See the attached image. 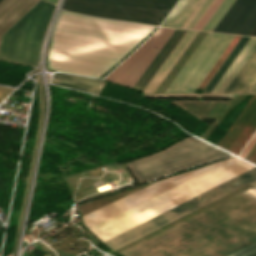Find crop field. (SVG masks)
I'll return each mask as SVG.
<instances>
[{
    "instance_id": "8a807250",
    "label": "crop field",
    "mask_w": 256,
    "mask_h": 256,
    "mask_svg": "<svg viewBox=\"0 0 256 256\" xmlns=\"http://www.w3.org/2000/svg\"><path fill=\"white\" fill-rule=\"evenodd\" d=\"M229 160V159H228ZM180 174L137 191L83 217L90 229L225 162ZM253 165L235 157L93 229L105 241L179 203H182L250 168ZM256 180V167L177 205L107 241L114 250Z\"/></svg>"
},
{
    "instance_id": "ac0d7876",
    "label": "crop field",
    "mask_w": 256,
    "mask_h": 256,
    "mask_svg": "<svg viewBox=\"0 0 256 256\" xmlns=\"http://www.w3.org/2000/svg\"><path fill=\"white\" fill-rule=\"evenodd\" d=\"M255 241L256 200L240 193L120 253L227 256Z\"/></svg>"
},
{
    "instance_id": "34b2d1b8",
    "label": "crop field",
    "mask_w": 256,
    "mask_h": 256,
    "mask_svg": "<svg viewBox=\"0 0 256 256\" xmlns=\"http://www.w3.org/2000/svg\"><path fill=\"white\" fill-rule=\"evenodd\" d=\"M152 29L59 10L42 67L99 78Z\"/></svg>"
},
{
    "instance_id": "412701ff",
    "label": "crop field",
    "mask_w": 256,
    "mask_h": 256,
    "mask_svg": "<svg viewBox=\"0 0 256 256\" xmlns=\"http://www.w3.org/2000/svg\"><path fill=\"white\" fill-rule=\"evenodd\" d=\"M227 155L230 154L190 136L127 164L141 183Z\"/></svg>"
},
{
    "instance_id": "f4fd0767",
    "label": "crop field",
    "mask_w": 256,
    "mask_h": 256,
    "mask_svg": "<svg viewBox=\"0 0 256 256\" xmlns=\"http://www.w3.org/2000/svg\"><path fill=\"white\" fill-rule=\"evenodd\" d=\"M54 5L40 0L1 38L0 59L36 67Z\"/></svg>"
},
{
    "instance_id": "dd49c442",
    "label": "crop field",
    "mask_w": 256,
    "mask_h": 256,
    "mask_svg": "<svg viewBox=\"0 0 256 256\" xmlns=\"http://www.w3.org/2000/svg\"><path fill=\"white\" fill-rule=\"evenodd\" d=\"M177 1L65 0L62 8L96 17L160 25Z\"/></svg>"
},
{
    "instance_id": "e52e79f7",
    "label": "crop field",
    "mask_w": 256,
    "mask_h": 256,
    "mask_svg": "<svg viewBox=\"0 0 256 256\" xmlns=\"http://www.w3.org/2000/svg\"><path fill=\"white\" fill-rule=\"evenodd\" d=\"M234 37L208 33L165 92L194 93Z\"/></svg>"
},
{
    "instance_id": "d8731c3e",
    "label": "crop field",
    "mask_w": 256,
    "mask_h": 256,
    "mask_svg": "<svg viewBox=\"0 0 256 256\" xmlns=\"http://www.w3.org/2000/svg\"><path fill=\"white\" fill-rule=\"evenodd\" d=\"M173 31L174 29L160 28L105 80L133 88Z\"/></svg>"
},
{
    "instance_id": "5a996713",
    "label": "crop field",
    "mask_w": 256,
    "mask_h": 256,
    "mask_svg": "<svg viewBox=\"0 0 256 256\" xmlns=\"http://www.w3.org/2000/svg\"><path fill=\"white\" fill-rule=\"evenodd\" d=\"M255 47H256V40L253 42V44L247 50L245 55L239 61L237 66L234 68V70L228 76V78L223 83V85L220 87V89L217 91V93H223V91L229 85V83L234 78V76L237 74L239 69L245 63L247 58L253 52ZM224 93L256 94V49L251 54V56L248 58L246 63L240 69V71L235 76V78L232 80V82L227 87V89L224 91Z\"/></svg>"
},
{
    "instance_id": "3316defc",
    "label": "crop field",
    "mask_w": 256,
    "mask_h": 256,
    "mask_svg": "<svg viewBox=\"0 0 256 256\" xmlns=\"http://www.w3.org/2000/svg\"><path fill=\"white\" fill-rule=\"evenodd\" d=\"M39 0H2L0 2V38Z\"/></svg>"
},
{
    "instance_id": "28ad6ade",
    "label": "crop field",
    "mask_w": 256,
    "mask_h": 256,
    "mask_svg": "<svg viewBox=\"0 0 256 256\" xmlns=\"http://www.w3.org/2000/svg\"><path fill=\"white\" fill-rule=\"evenodd\" d=\"M255 4L256 0H235L214 31L234 34Z\"/></svg>"
},
{
    "instance_id": "d1516ede",
    "label": "crop field",
    "mask_w": 256,
    "mask_h": 256,
    "mask_svg": "<svg viewBox=\"0 0 256 256\" xmlns=\"http://www.w3.org/2000/svg\"><path fill=\"white\" fill-rule=\"evenodd\" d=\"M198 32L187 31L143 92H154Z\"/></svg>"
},
{
    "instance_id": "22f410ed",
    "label": "crop field",
    "mask_w": 256,
    "mask_h": 256,
    "mask_svg": "<svg viewBox=\"0 0 256 256\" xmlns=\"http://www.w3.org/2000/svg\"><path fill=\"white\" fill-rule=\"evenodd\" d=\"M185 32H186L185 30H179V29H176L173 32V34L170 36L168 41L162 47L160 52L157 54L155 59L149 65V67L144 72V74L139 79V81L134 86V88L142 90L145 87V85L148 83V81L151 79V77L154 75V73L157 71L160 65L164 62V60L167 58V56L170 54V52L173 50V48L176 46V44L185 34Z\"/></svg>"
},
{
    "instance_id": "cbeb9de0",
    "label": "crop field",
    "mask_w": 256,
    "mask_h": 256,
    "mask_svg": "<svg viewBox=\"0 0 256 256\" xmlns=\"http://www.w3.org/2000/svg\"><path fill=\"white\" fill-rule=\"evenodd\" d=\"M53 75L52 83L92 92L98 95L105 85V82L103 81L76 77L63 73H55Z\"/></svg>"
},
{
    "instance_id": "5142ce71",
    "label": "crop field",
    "mask_w": 256,
    "mask_h": 256,
    "mask_svg": "<svg viewBox=\"0 0 256 256\" xmlns=\"http://www.w3.org/2000/svg\"><path fill=\"white\" fill-rule=\"evenodd\" d=\"M201 0H180L161 26L182 28Z\"/></svg>"
},
{
    "instance_id": "d9b57169",
    "label": "crop field",
    "mask_w": 256,
    "mask_h": 256,
    "mask_svg": "<svg viewBox=\"0 0 256 256\" xmlns=\"http://www.w3.org/2000/svg\"><path fill=\"white\" fill-rule=\"evenodd\" d=\"M250 39V37L242 36V38L239 40V42L236 44L234 49L231 51L229 56L226 58V60L223 62L221 67L218 69V71L215 73L213 78L210 80L208 85L205 87V89L202 91V93H211V91L214 89L216 84L219 82V80L222 78L224 73L227 71L229 66L232 64L234 59L237 57L239 52L242 50V48L245 46L247 41Z\"/></svg>"
},
{
    "instance_id": "733c2abd",
    "label": "crop field",
    "mask_w": 256,
    "mask_h": 256,
    "mask_svg": "<svg viewBox=\"0 0 256 256\" xmlns=\"http://www.w3.org/2000/svg\"><path fill=\"white\" fill-rule=\"evenodd\" d=\"M233 2L234 0H224L203 30L213 31Z\"/></svg>"
},
{
    "instance_id": "4a817a6b",
    "label": "crop field",
    "mask_w": 256,
    "mask_h": 256,
    "mask_svg": "<svg viewBox=\"0 0 256 256\" xmlns=\"http://www.w3.org/2000/svg\"><path fill=\"white\" fill-rule=\"evenodd\" d=\"M212 2L213 0H202L183 28L193 29Z\"/></svg>"
},
{
    "instance_id": "bc2a9ffb",
    "label": "crop field",
    "mask_w": 256,
    "mask_h": 256,
    "mask_svg": "<svg viewBox=\"0 0 256 256\" xmlns=\"http://www.w3.org/2000/svg\"><path fill=\"white\" fill-rule=\"evenodd\" d=\"M223 0H215L212 5L209 7V9L206 11V13L203 15V17L200 19V21L197 23V25L194 27V29L202 30V28L205 26V24L208 22L210 17L213 15V13L216 11L218 6L221 4Z\"/></svg>"
},
{
    "instance_id": "214f88e0",
    "label": "crop field",
    "mask_w": 256,
    "mask_h": 256,
    "mask_svg": "<svg viewBox=\"0 0 256 256\" xmlns=\"http://www.w3.org/2000/svg\"><path fill=\"white\" fill-rule=\"evenodd\" d=\"M255 40V37H251V39L248 41V43L246 44V46L243 48V50L240 52V54L238 55V57L235 59V61L233 62V64L230 66V68L228 69V71L225 73V75L223 76V78L220 80V82L217 84V86L215 87V89L212 91V93H216V91L219 89V87L222 85V83L225 81V79L227 78V76L230 74V72L233 70V68L235 67V65L238 63V61L241 59V57L244 55V53L246 52V50L249 48V46L252 44V42Z\"/></svg>"
},
{
    "instance_id": "92a150f3",
    "label": "crop field",
    "mask_w": 256,
    "mask_h": 256,
    "mask_svg": "<svg viewBox=\"0 0 256 256\" xmlns=\"http://www.w3.org/2000/svg\"><path fill=\"white\" fill-rule=\"evenodd\" d=\"M255 21H256V6L236 33L246 35V33L249 31V29L252 27Z\"/></svg>"
},
{
    "instance_id": "dafd665d",
    "label": "crop field",
    "mask_w": 256,
    "mask_h": 256,
    "mask_svg": "<svg viewBox=\"0 0 256 256\" xmlns=\"http://www.w3.org/2000/svg\"><path fill=\"white\" fill-rule=\"evenodd\" d=\"M229 256H256V242Z\"/></svg>"
},
{
    "instance_id": "00972430",
    "label": "crop field",
    "mask_w": 256,
    "mask_h": 256,
    "mask_svg": "<svg viewBox=\"0 0 256 256\" xmlns=\"http://www.w3.org/2000/svg\"><path fill=\"white\" fill-rule=\"evenodd\" d=\"M11 90V88L0 87V102Z\"/></svg>"
},
{
    "instance_id": "a9b5d70f",
    "label": "crop field",
    "mask_w": 256,
    "mask_h": 256,
    "mask_svg": "<svg viewBox=\"0 0 256 256\" xmlns=\"http://www.w3.org/2000/svg\"><path fill=\"white\" fill-rule=\"evenodd\" d=\"M247 35H254V36H256V22L253 25V27L250 29V31L247 33Z\"/></svg>"
},
{
    "instance_id": "4177f3b9",
    "label": "crop field",
    "mask_w": 256,
    "mask_h": 256,
    "mask_svg": "<svg viewBox=\"0 0 256 256\" xmlns=\"http://www.w3.org/2000/svg\"><path fill=\"white\" fill-rule=\"evenodd\" d=\"M46 1L54 3V4H56V2H57V0H46Z\"/></svg>"
},
{
    "instance_id": "730fd06b",
    "label": "crop field",
    "mask_w": 256,
    "mask_h": 256,
    "mask_svg": "<svg viewBox=\"0 0 256 256\" xmlns=\"http://www.w3.org/2000/svg\"><path fill=\"white\" fill-rule=\"evenodd\" d=\"M1 1V0H0Z\"/></svg>"
}]
</instances>
